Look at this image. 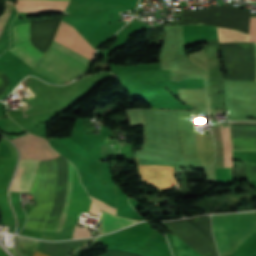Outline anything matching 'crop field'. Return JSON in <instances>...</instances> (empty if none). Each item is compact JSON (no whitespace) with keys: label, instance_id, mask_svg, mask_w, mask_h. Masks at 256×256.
<instances>
[{"label":"crop field","instance_id":"obj_1","mask_svg":"<svg viewBox=\"0 0 256 256\" xmlns=\"http://www.w3.org/2000/svg\"><path fill=\"white\" fill-rule=\"evenodd\" d=\"M41 161L23 159L11 183V192L29 191ZM56 161H42L30 189L37 201L25 225L27 229L43 231L53 203L56 183Z\"/></svg>","mask_w":256,"mask_h":256},{"label":"crop field","instance_id":"obj_2","mask_svg":"<svg viewBox=\"0 0 256 256\" xmlns=\"http://www.w3.org/2000/svg\"><path fill=\"white\" fill-rule=\"evenodd\" d=\"M56 161H57V167H58V175H57V184H56V191H55V203L52 208L48 223L45 227L46 231H52V232L55 231L58 217L64 203L66 184H67V160L60 156L56 158ZM73 169H74V166L70 162H68V184H67L66 198H65V203L62 208L55 232L61 231L67 212H68L70 199H71L72 185H73ZM90 202L91 200L89 199L84 187L79 182V177L75 169L71 204H70L69 212H68L66 221L64 223L63 229H66L74 225L80 213L88 212Z\"/></svg>","mask_w":256,"mask_h":256},{"label":"crop field","instance_id":"obj_3","mask_svg":"<svg viewBox=\"0 0 256 256\" xmlns=\"http://www.w3.org/2000/svg\"><path fill=\"white\" fill-rule=\"evenodd\" d=\"M90 60L53 41L52 45L30 71L54 83L64 84L87 70Z\"/></svg>","mask_w":256,"mask_h":256},{"label":"crop field","instance_id":"obj_4","mask_svg":"<svg viewBox=\"0 0 256 256\" xmlns=\"http://www.w3.org/2000/svg\"><path fill=\"white\" fill-rule=\"evenodd\" d=\"M213 232L219 255H228L256 232V213L212 215Z\"/></svg>","mask_w":256,"mask_h":256},{"label":"crop field","instance_id":"obj_5","mask_svg":"<svg viewBox=\"0 0 256 256\" xmlns=\"http://www.w3.org/2000/svg\"><path fill=\"white\" fill-rule=\"evenodd\" d=\"M249 41H256V17H251ZM224 79L255 80V42L219 44Z\"/></svg>","mask_w":256,"mask_h":256},{"label":"crop field","instance_id":"obj_6","mask_svg":"<svg viewBox=\"0 0 256 256\" xmlns=\"http://www.w3.org/2000/svg\"><path fill=\"white\" fill-rule=\"evenodd\" d=\"M13 39L15 48L9 51L33 68L43 54L30 45V22L14 26Z\"/></svg>","mask_w":256,"mask_h":256},{"label":"crop field","instance_id":"obj_7","mask_svg":"<svg viewBox=\"0 0 256 256\" xmlns=\"http://www.w3.org/2000/svg\"><path fill=\"white\" fill-rule=\"evenodd\" d=\"M143 181L149 182L159 190L177 185L173 176L174 166L136 165ZM148 183V184H149Z\"/></svg>","mask_w":256,"mask_h":256},{"label":"crop field","instance_id":"obj_8","mask_svg":"<svg viewBox=\"0 0 256 256\" xmlns=\"http://www.w3.org/2000/svg\"><path fill=\"white\" fill-rule=\"evenodd\" d=\"M144 114L146 124V143L165 149L164 111L144 109Z\"/></svg>","mask_w":256,"mask_h":256},{"label":"crop field","instance_id":"obj_9","mask_svg":"<svg viewBox=\"0 0 256 256\" xmlns=\"http://www.w3.org/2000/svg\"><path fill=\"white\" fill-rule=\"evenodd\" d=\"M69 1V0H62ZM69 2L45 1V0H18L16 8L18 12H63Z\"/></svg>","mask_w":256,"mask_h":256},{"label":"crop field","instance_id":"obj_10","mask_svg":"<svg viewBox=\"0 0 256 256\" xmlns=\"http://www.w3.org/2000/svg\"><path fill=\"white\" fill-rule=\"evenodd\" d=\"M135 222L138 221L125 219L102 211L100 233L103 234L113 230H117L121 227L131 225Z\"/></svg>","mask_w":256,"mask_h":256},{"label":"crop field","instance_id":"obj_11","mask_svg":"<svg viewBox=\"0 0 256 256\" xmlns=\"http://www.w3.org/2000/svg\"><path fill=\"white\" fill-rule=\"evenodd\" d=\"M221 128H224L221 124ZM224 167H232V150L229 127L221 129Z\"/></svg>","mask_w":256,"mask_h":256},{"label":"crop field","instance_id":"obj_12","mask_svg":"<svg viewBox=\"0 0 256 256\" xmlns=\"http://www.w3.org/2000/svg\"><path fill=\"white\" fill-rule=\"evenodd\" d=\"M38 242L39 241L37 240H33L29 238H24L19 236L16 237L17 247L23 256H32Z\"/></svg>","mask_w":256,"mask_h":256},{"label":"crop field","instance_id":"obj_13","mask_svg":"<svg viewBox=\"0 0 256 256\" xmlns=\"http://www.w3.org/2000/svg\"><path fill=\"white\" fill-rule=\"evenodd\" d=\"M172 238L177 249L178 256H201L180 239H178L174 234H172Z\"/></svg>","mask_w":256,"mask_h":256},{"label":"crop field","instance_id":"obj_14","mask_svg":"<svg viewBox=\"0 0 256 256\" xmlns=\"http://www.w3.org/2000/svg\"><path fill=\"white\" fill-rule=\"evenodd\" d=\"M13 5L14 4L6 3V11L2 16H0V33H1V31L4 27V25H5V22H6L9 14L11 12V9H12Z\"/></svg>","mask_w":256,"mask_h":256},{"label":"crop field","instance_id":"obj_15","mask_svg":"<svg viewBox=\"0 0 256 256\" xmlns=\"http://www.w3.org/2000/svg\"><path fill=\"white\" fill-rule=\"evenodd\" d=\"M92 200H93L100 208H104V209H106V210H108V211H111V212H113V213L116 214V209H115V208H113V207H111V206H109V205H107V204H105V203H103V202H101V201H99V200H97V199H95V198H92Z\"/></svg>","mask_w":256,"mask_h":256},{"label":"crop field","instance_id":"obj_16","mask_svg":"<svg viewBox=\"0 0 256 256\" xmlns=\"http://www.w3.org/2000/svg\"><path fill=\"white\" fill-rule=\"evenodd\" d=\"M93 214L99 215L100 209L95 205L94 202H91L90 210Z\"/></svg>","mask_w":256,"mask_h":256},{"label":"crop field","instance_id":"obj_17","mask_svg":"<svg viewBox=\"0 0 256 256\" xmlns=\"http://www.w3.org/2000/svg\"><path fill=\"white\" fill-rule=\"evenodd\" d=\"M33 256H49V255H47V254H45V253H43V252H41V251L36 249V251H35Z\"/></svg>","mask_w":256,"mask_h":256},{"label":"crop field","instance_id":"obj_18","mask_svg":"<svg viewBox=\"0 0 256 256\" xmlns=\"http://www.w3.org/2000/svg\"><path fill=\"white\" fill-rule=\"evenodd\" d=\"M10 251H11L15 256H19V255L16 253V251H15L14 248H10Z\"/></svg>","mask_w":256,"mask_h":256}]
</instances>
